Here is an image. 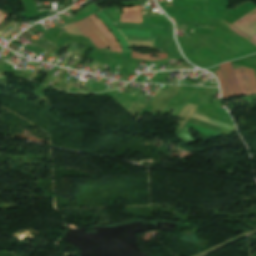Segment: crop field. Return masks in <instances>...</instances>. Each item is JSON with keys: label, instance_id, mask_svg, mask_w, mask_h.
Returning a JSON list of instances; mask_svg holds the SVG:
<instances>
[{"label": "crop field", "instance_id": "obj_15", "mask_svg": "<svg viewBox=\"0 0 256 256\" xmlns=\"http://www.w3.org/2000/svg\"><path fill=\"white\" fill-rule=\"evenodd\" d=\"M216 72H217L218 79H219V82H220V86H221V90H222V96H223V98H225L227 96H226V92H225V88H224V84H223V81H222L220 70L216 71Z\"/></svg>", "mask_w": 256, "mask_h": 256}, {"label": "crop field", "instance_id": "obj_8", "mask_svg": "<svg viewBox=\"0 0 256 256\" xmlns=\"http://www.w3.org/2000/svg\"><path fill=\"white\" fill-rule=\"evenodd\" d=\"M107 16L111 19L112 22H120V8L119 7H113V8H107L103 9Z\"/></svg>", "mask_w": 256, "mask_h": 256}, {"label": "crop field", "instance_id": "obj_3", "mask_svg": "<svg viewBox=\"0 0 256 256\" xmlns=\"http://www.w3.org/2000/svg\"><path fill=\"white\" fill-rule=\"evenodd\" d=\"M219 66H220V70L222 73V77H223V81L225 84L228 97L240 95L237 84H236V80L234 77V73L231 67V63L227 62V63L220 64Z\"/></svg>", "mask_w": 256, "mask_h": 256}, {"label": "crop field", "instance_id": "obj_19", "mask_svg": "<svg viewBox=\"0 0 256 256\" xmlns=\"http://www.w3.org/2000/svg\"><path fill=\"white\" fill-rule=\"evenodd\" d=\"M32 34H30L28 31L23 32L20 36H22L23 38H28L29 36H31Z\"/></svg>", "mask_w": 256, "mask_h": 256}, {"label": "crop field", "instance_id": "obj_21", "mask_svg": "<svg viewBox=\"0 0 256 256\" xmlns=\"http://www.w3.org/2000/svg\"><path fill=\"white\" fill-rule=\"evenodd\" d=\"M252 38H254V39L256 40V35H255V36H253Z\"/></svg>", "mask_w": 256, "mask_h": 256}, {"label": "crop field", "instance_id": "obj_6", "mask_svg": "<svg viewBox=\"0 0 256 256\" xmlns=\"http://www.w3.org/2000/svg\"><path fill=\"white\" fill-rule=\"evenodd\" d=\"M122 9L124 10V15H122V22L142 23V15L140 11V9H143L142 6L126 7Z\"/></svg>", "mask_w": 256, "mask_h": 256}, {"label": "crop field", "instance_id": "obj_12", "mask_svg": "<svg viewBox=\"0 0 256 256\" xmlns=\"http://www.w3.org/2000/svg\"><path fill=\"white\" fill-rule=\"evenodd\" d=\"M234 72H235V75H236V79H237V83H238V86H239L240 94L241 95H247L246 91H245L244 84H243V80H242V77H241L240 69L234 70Z\"/></svg>", "mask_w": 256, "mask_h": 256}, {"label": "crop field", "instance_id": "obj_11", "mask_svg": "<svg viewBox=\"0 0 256 256\" xmlns=\"http://www.w3.org/2000/svg\"><path fill=\"white\" fill-rule=\"evenodd\" d=\"M222 24H224L225 26L229 27L230 29H232L234 32H236L238 35H240L241 37H243L244 39H246L247 41H249L250 43H252L254 46H256V42L254 40H252L251 38H249L247 35H245L244 33H242L241 31H239L238 29L234 28L233 26H231L229 23H227L225 20H221Z\"/></svg>", "mask_w": 256, "mask_h": 256}, {"label": "crop field", "instance_id": "obj_16", "mask_svg": "<svg viewBox=\"0 0 256 256\" xmlns=\"http://www.w3.org/2000/svg\"><path fill=\"white\" fill-rule=\"evenodd\" d=\"M98 9H99V8H97V7L94 8V9H92V10L89 11L88 13H86V14H84V15H82V16L77 17V20H79V19H81V18H83V17H85V16H87V15H89V14H92V13L96 12Z\"/></svg>", "mask_w": 256, "mask_h": 256}, {"label": "crop field", "instance_id": "obj_10", "mask_svg": "<svg viewBox=\"0 0 256 256\" xmlns=\"http://www.w3.org/2000/svg\"><path fill=\"white\" fill-rule=\"evenodd\" d=\"M185 127L194 128L197 131L203 132V133L211 135V136H213L216 133V131H213V130H210V129H207V128H204V127H201V126L189 123V122L186 123Z\"/></svg>", "mask_w": 256, "mask_h": 256}, {"label": "crop field", "instance_id": "obj_7", "mask_svg": "<svg viewBox=\"0 0 256 256\" xmlns=\"http://www.w3.org/2000/svg\"><path fill=\"white\" fill-rule=\"evenodd\" d=\"M90 18L99 27V29L104 33V35L107 37V39L113 45V47L118 51V53H121L122 51L120 49V46H119L118 42L115 40V38L111 35L110 31L94 15L90 16Z\"/></svg>", "mask_w": 256, "mask_h": 256}, {"label": "crop field", "instance_id": "obj_17", "mask_svg": "<svg viewBox=\"0 0 256 256\" xmlns=\"http://www.w3.org/2000/svg\"><path fill=\"white\" fill-rule=\"evenodd\" d=\"M35 44H37V45H39V46H41V47H43L45 49L50 46V45H48V44H46V43H44V42H42L40 40L36 41Z\"/></svg>", "mask_w": 256, "mask_h": 256}, {"label": "crop field", "instance_id": "obj_14", "mask_svg": "<svg viewBox=\"0 0 256 256\" xmlns=\"http://www.w3.org/2000/svg\"><path fill=\"white\" fill-rule=\"evenodd\" d=\"M114 25H131V26H144V27H157L161 28L162 26L157 25H145V24H133V23H113Z\"/></svg>", "mask_w": 256, "mask_h": 256}, {"label": "crop field", "instance_id": "obj_9", "mask_svg": "<svg viewBox=\"0 0 256 256\" xmlns=\"http://www.w3.org/2000/svg\"><path fill=\"white\" fill-rule=\"evenodd\" d=\"M157 56H159V57H158V58H152V54H150V55H142V54H140V53L132 52V57L138 58V59L160 60V59L167 58V55H166V54H157Z\"/></svg>", "mask_w": 256, "mask_h": 256}, {"label": "crop field", "instance_id": "obj_18", "mask_svg": "<svg viewBox=\"0 0 256 256\" xmlns=\"http://www.w3.org/2000/svg\"><path fill=\"white\" fill-rule=\"evenodd\" d=\"M7 47L10 48V49H12V50L15 51V52L19 49L18 46L13 45V44H11V43H9Z\"/></svg>", "mask_w": 256, "mask_h": 256}, {"label": "crop field", "instance_id": "obj_2", "mask_svg": "<svg viewBox=\"0 0 256 256\" xmlns=\"http://www.w3.org/2000/svg\"><path fill=\"white\" fill-rule=\"evenodd\" d=\"M76 28L80 31V33L88 37L89 40L99 49H104L109 47L112 52L116 50L111 46L102 32L95 26V24L90 20L89 17L85 18L84 20L74 23Z\"/></svg>", "mask_w": 256, "mask_h": 256}, {"label": "crop field", "instance_id": "obj_13", "mask_svg": "<svg viewBox=\"0 0 256 256\" xmlns=\"http://www.w3.org/2000/svg\"><path fill=\"white\" fill-rule=\"evenodd\" d=\"M117 29H145V30H151V31H158L160 32L161 29L157 28H140V27H131V26H116Z\"/></svg>", "mask_w": 256, "mask_h": 256}, {"label": "crop field", "instance_id": "obj_4", "mask_svg": "<svg viewBox=\"0 0 256 256\" xmlns=\"http://www.w3.org/2000/svg\"><path fill=\"white\" fill-rule=\"evenodd\" d=\"M232 24L252 37L256 34V8Z\"/></svg>", "mask_w": 256, "mask_h": 256}, {"label": "crop field", "instance_id": "obj_5", "mask_svg": "<svg viewBox=\"0 0 256 256\" xmlns=\"http://www.w3.org/2000/svg\"><path fill=\"white\" fill-rule=\"evenodd\" d=\"M240 68H241L244 84L247 90V94L248 95L256 94V78L254 75V71L241 66Z\"/></svg>", "mask_w": 256, "mask_h": 256}, {"label": "crop field", "instance_id": "obj_20", "mask_svg": "<svg viewBox=\"0 0 256 256\" xmlns=\"http://www.w3.org/2000/svg\"><path fill=\"white\" fill-rule=\"evenodd\" d=\"M55 49V44L52 46V48L50 49V51L47 53V55L44 57V60H46L50 54L53 52V50Z\"/></svg>", "mask_w": 256, "mask_h": 256}, {"label": "crop field", "instance_id": "obj_1", "mask_svg": "<svg viewBox=\"0 0 256 256\" xmlns=\"http://www.w3.org/2000/svg\"><path fill=\"white\" fill-rule=\"evenodd\" d=\"M101 21H103L110 31L120 42L123 52L128 51V44L125 40H147L153 41V38H149L150 31L141 30H117L115 26L110 22L109 18L102 12L95 13Z\"/></svg>", "mask_w": 256, "mask_h": 256}]
</instances>
